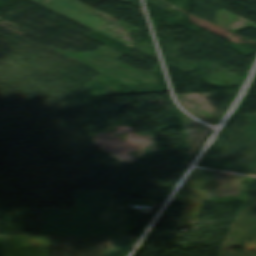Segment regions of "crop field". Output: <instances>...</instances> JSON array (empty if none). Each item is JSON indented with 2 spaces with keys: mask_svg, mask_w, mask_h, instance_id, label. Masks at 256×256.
<instances>
[{
  "mask_svg": "<svg viewBox=\"0 0 256 256\" xmlns=\"http://www.w3.org/2000/svg\"><path fill=\"white\" fill-rule=\"evenodd\" d=\"M112 192H78L76 209H42L40 235L110 236L109 255L123 256L135 237H121L123 213L111 214Z\"/></svg>",
  "mask_w": 256,
  "mask_h": 256,
  "instance_id": "crop-field-1",
  "label": "crop field"
},
{
  "mask_svg": "<svg viewBox=\"0 0 256 256\" xmlns=\"http://www.w3.org/2000/svg\"><path fill=\"white\" fill-rule=\"evenodd\" d=\"M109 237L52 236L50 256H107Z\"/></svg>",
  "mask_w": 256,
  "mask_h": 256,
  "instance_id": "crop-field-2",
  "label": "crop field"
},
{
  "mask_svg": "<svg viewBox=\"0 0 256 256\" xmlns=\"http://www.w3.org/2000/svg\"><path fill=\"white\" fill-rule=\"evenodd\" d=\"M41 5L110 38H113L127 46L133 45L103 31L106 27H108L109 21L94 14L93 12L96 10L89 8L75 0H48Z\"/></svg>",
  "mask_w": 256,
  "mask_h": 256,
  "instance_id": "crop-field-3",
  "label": "crop field"
},
{
  "mask_svg": "<svg viewBox=\"0 0 256 256\" xmlns=\"http://www.w3.org/2000/svg\"><path fill=\"white\" fill-rule=\"evenodd\" d=\"M38 236L5 235L3 256H36Z\"/></svg>",
  "mask_w": 256,
  "mask_h": 256,
  "instance_id": "crop-field-4",
  "label": "crop field"
},
{
  "mask_svg": "<svg viewBox=\"0 0 256 256\" xmlns=\"http://www.w3.org/2000/svg\"><path fill=\"white\" fill-rule=\"evenodd\" d=\"M48 251H49V236H39L37 256H48Z\"/></svg>",
  "mask_w": 256,
  "mask_h": 256,
  "instance_id": "crop-field-5",
  "label": "crop field"
},
{
  "mask_svg": "<svg viewBox=\"0 0 256 256\" xmlns=\"http://www.w3.org/2000/svg\"><path fill=\"white\" fill-rule=\"evenodd\" d=\"M2 241H3V236L0 235V256H1V250H2Z\"/></svg>",
  "mask_w": 256,
  "mask_h": 256,
  "instance_id": "crop-field-6",
  "label": "crop field"
},
{
  "mask_svg": "<svg viewBox=\"0 0 256 256\" xmlns=\"http://www.w3.org/2000/svg\"><path fill=\"white\" fill-rule=\"evenodd\" d=\"M31 1H33V2H35V3H39V2H41V1H43V0H31Z\"/></svg>",
  "mask_w": 256,
  "mask_h": 256,
  "instance_id": "crop-field-7",
  "label": "crop field"
}]
</instances>
